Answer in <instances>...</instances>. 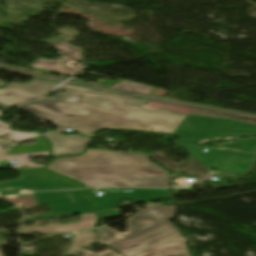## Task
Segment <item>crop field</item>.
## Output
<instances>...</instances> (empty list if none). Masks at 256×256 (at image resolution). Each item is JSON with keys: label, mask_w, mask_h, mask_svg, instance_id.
<instances>
[{"label": "crop field", "mask_w": 256, "mask_h": 256, "mask_svg": "<svg viewBox=\"0 0 256 256\" xmlns=\"http://www.w3.org/2000/svg\"><path fill=\"white\" fill-rule=\"evenodd\" d=\"M60 88L67 93L55 100L43 98L20 107L89 137L101 128L172 134L186 116L145 109L142 106L147 100L137 101L68 84ZM69 96L78 97V102H67Z\"/></svg>", "instance_id": "obj_1"}, {"label": "crop field", "mask_w": 256, "mask_h": 256, "mask_svg": "<svg viewBox=\"0 0 256 256\" xmlns=\"http://www.w3.org/2000/svg\"><path fill=\"white\" fill-rule=\"evenodd\" d=\"M48 168L87 187H169L167 173L142 153L86 150L82 156L56 159Z\"/></svg>", "instance_id": "obj_2"}, {"label": "crop field", "mask_w": 256, "mask_h": 256, "mask_svg": "<svg viewBox=\"0 0 256 256\" xmlns=\"http://www.w3.org/2000/svg\"><path fill=\"white\" fill-rule=\"evenodd\" d=\"M256 135V125L231 119H214L187 115L173 135L192 141L214 137Z\"/></svg>", "instance_id": "obj_3"}, {"label": "crop field", "mask_w": 256, "mask_h": 256, "mask_svg": "<svg viewBox=\"0 0 256 256\" xmlns=\"http://www.w3.org/2000/svg\"><path fill=\"white\" fill-rule=\"evenodd\" d=\"M21 180L0 184V196L29 191L61 190L82 187L50 173L45 168L18 170Z\"/></svg>", "instance_id": "obj_4"}, {"label": "crop field", "mask_w": 256, "mask_h": 256, "mask_svg": "<svg viewBox=\"0 0 256 256\" xmlns=\"http://www.w3.org/2000/svg\"><path fill=\"white\" fill-rule=\"evenodd\" d=\"M81 191L66 192H46L34 193L38 204H47L52 210L49 215H37L24 219L23 223L30 222L34 219L59 217L73 213H83L92 211L90 201Z\"/></svg>", "instance_id": "obj_5"}, {"label": "crop field", "mask_w": 256, "mask_h": 256, "mask_svg": "<svg viewBox=\"0 0 256 256\" xmlns=\"http://www.w3.org/2000/svg\"><path fill=\"white\" fill-rule=\"evenodd\" d=\"M186 150L209 168H214L230 173H246L254 160L253 154L223 152L203 149L189 143H182Z\"/></svg>", "instance_id": "obj_6"}, {"label": "crop field", "mask_w": 256, "mask_h": 256, "mask_svg": "<svg viewBox=\"0 0 256 256\" xmlns=\"http://www.w3.org/2000/svg\"><path fill=\"white\" fill-rule=\"evenodd\" d=\"M178 235L180 234L176 228L166 221L112 243L110 246L118 250L123 256H129Z\"/></svg>", "instance_id": "obj_7"}, {"label": "crop field", "mask_w": 256, "mask_h": 256, "mask_svg": "<svg viewBox=\"0 0 256 256\" xmlns=\"http://www.w3.org/2000/svg\"><path fill=\"white\" fill-rule=\"evenodd\" d=\"M94 191H105L103 197H96ZM91 199L95 202L96 210L114 208L119 199H131L139 202H148L171 198L169 190H148V189H89Z\"/></svg>", "instance_id": "obj_8"}, {"label": "crop field", "mask_w": 256, "mask_h": 256, "mask_svg": "<svg viewBox=\"0 0 256 256\" xmlns=\"http://www.w3.org/2000/svg\"><path fill=\"white\" fill-rule=\"evenodd\" d=\"M55 82L37 79L29 84L16 83L0 90V105L4 109L36 99L49 93ZM34 87L30 89L29 87ZM1 107V106H0Z\"/></svg>", "instance_id": "obj_9"}, {"label": "crop field", "mask_w": 256, "mask_h": 256, "mask_svg": "<svg viewBox=\"0 0 256 256\" xmlns=\"http://www.w3.org/2000/svg\"><path fill=\"white\" fill-rule=\"evenodd\" d=\"M45 137L52 144L53 156L81 154L91 140L82 136H65L58 133Z\"/></svg>", "instance_id": "obj_10"}, {"label": "crop field", "mask_w": 256, "mask_h": 256, "mask_svg": "<svg viewBox=\"0 0 256 256\" xmlns=\"http://www.w3.org/2000/svg\"><path fill=\"white\" fill-rule=\"evenodd\" d=\"M95 220V214H84L81 215V219L75 223L67 225L46 224L44 226L22 227L19 234L30 235L33 232H38L40 234L68 233L77 230L91 228L94 226Z\"/></svg>", "instance_id": "obj_11"}, {"label": "crop field", "mask_w": 256, "mask_h": 256, "mask_svg": "<svg viewBox=\"0 0 256 256\" xmlns=\"http://www.w3.org/2000/svg\"><path fill=\"white\" fill-rule=\"evenodd\" d=\"M176 206H151L146 210L138 213L132 219L129 220L128 229L131 234L140 230L146 229L158 223L164 222L174 215ZM144 217H149L153 220L152 223L142 225L138 221Z\"/></svg>", "instance_id": "obj_12"}, {"label": "crop field", "mask_w": 256, "mask_h": 256, "mask_svg": "<svg viewBox=\"0 0 256 256\" xmlns=\"http://www.w3.org/2000/svg\"><path fill=\"white\" fill-rule=\"evenodd\" d=\"M187 240L180 237L136 256H190Z\"/></svg>", "instance_id": "obj_13"}, {"label": "crop field", "mask_w": 256, "mask_h": 256, "mask_svg": "<svg viewBox=\"0 0 256 256\" xmlns=\"http://www.w3.org/2000/svg\"><path fill=\"white\" fill-rule=\"evenodd\" d=\"M96 234L94 230L73 234L72 242L64 255H75L85 253L81 249L82 246H89L90 243L95 242Z\"/></svg>", "instance_id": "obj_14"}, {"label": "crop field", "mask_w": 256, "mask_h": 256, "mask_svg": "<svg viewBox=\"0 0 256 256\" xmlns=\"http://www.w3.org/2000/svg\"><path fill=\"white\" fill-rule=\"evenodd\" d=\"M29 67L39 68V69H43V70L64 73V74H69V75H74L79 72L77 70L62 67V59H57L55 61L38 59L36 62H34Z\"/></svg>", "instance_id": "obj_15"}, {"label": "crop field", "mask_w": 256, "mask_h": 256, "mask_svg": "<svg viewBox=\"0 0 256 256\" xmlns=\"http://www.w3.org/2000/svg\"><path fill=\"white\" fill-rule=\"evenodd\" d=\"M28 156H49V153L44 152V153H30V154H23V155H4L2 159L17 160L21 168L44 167V166H37L35 164L30 163L27 158Z\"/></svg>", "instance_id": "obj_16"}, {"label": "crop field", "mask_w": 256, "mask_h": 256, "mask_svg": "<svg viewBox=\"0 0 256 256\" xmlns=\"http://www.w3.org/2000/svg\"><path fill=\"white\" fill-rule=\"evenodd\" d=\"M111 87L112 88H117V89L133 91V92L144 93V94H150V92L152 90H154V88H152V87L142 85V84H138V83H134V82H130V81H126V80H123L121 83L114 84Z\"/></svg>", "instance_id": "obj_17"}, {"label": "crop field", "mask_w": 256, "mask_h": 256, "mask_svg": "<svg viewBox=\"0 0 256 256\" xmlns=\"http://www.w3.org/2000/svg\"><path fill=\"white\" fill-rule=\"evenodd\" d=\"M1 114V112H0ZM10 125L5 124L3 122L0 121V135H4V134H11L9 141H20V140H24V139H28L32 136H36L38 135V133H19V132H14L9 128ZM0 141H6V140H0Z\"/></svg>", "instance_id": "obj_18"}, {"label": "crop field", "mask_w": 256, "mask_h": 256, "mask_svg": "<svg viewBox=\"0 0 256 256\" xmlns=\"http://www.w3.org/2000/svg\"><path fill=\"white\" fill-rule=\"evenodd\" d=\"M98 233L100 235L99 241H101L105 244H110L112 242L118 241V240L130 235L129 232L125 235H119L118 233L110 230L107 227L98 229Z\"/></svg>", "instance_id": "obj_19"}, {"label": "crop field", "mask_w": 256, "mask_h": 256, "mask_svg": "<svg viewBox=\"0 0 256 256\" xmlns=\"http://www.w3.org/2000/svg\"><path fill=\"white\" fill-rule=\"evenodd\" d=\"M220 147H232V148H236L244 151H255L256 139L238 140L231 145H221Z\"/></svg>", "instance_id": "obj_20"}, {"label": "crop field", "mask_w": 256, "mask_h": 256, "mask_svg": "<svg viewBox=\"0 0 256 256\" xmlns=\"http://www.w3.org/2000/svg\"><path fill=\"white\" fill-rule=\"evenodd\" d=\"M55 48L69 54L68 58H70L74 61H77L80 59V49L77 47H74L72 45H69V44L63 42L60 45L56 46Z\"/></svg>", "instance_id": "obj_21"}, {"label": "crop field", "mask_w": 256, "mask_h": 256, "mask_svg": "<svg viewBox=\"0 0 256 256\" xmlns=\"http://www.w3.org/2000/svg\"><path fill=\"white\" fill-rule=\"evenodd\" d=\"M98 214L100 215L101 218H104V217L119 215L120 212L118 210L111 209V210L99 211Z\"/></svg>", "instance_id": "obj_22"}, {"label": "crop field", "mask_w": 256, "mask_h": 256, "mask_svg": "<svg viewBox=\"0 0 256 256\" xmlns=\"http://www.w3.org/2000/svg\"><path fill=\"white\" fill-rule=\"evenodd\" d=\"M94 256H119L116 252L110 250V251H107V252H104V253H101V254H97V255H94Z\"/></svg>", "instance_id": "obj_23"}, {"label": "crop field", "mask_w": 256, "mask_h": 256, "mask_svg": "<svg viewBox=\"0 0 256 256\" xmlns=\"http://www.w3.org/2000/svg\"><path fill=\"white\" fill-rule=\"evenodd\" d=\"M180 236H181V235H180ZM180 236H178V237H180ZM178 237H175V238H178ZM175 238H173V239H175ZM173 239H170V240H173ZM170 240H168V241H170ZM168 241H165V242H168ZM165 242H163V243H165ZM163 243H160V244H163ZM160 244H158V245H160ZM158 245H155V246H158ZM155 246H153V247H155ZM153 247H150V248H153ZM150 248H148V249H150ZM148 249H145V250L140 251V252H138V253L144 252V251H146V250H148ZM138 253H136V254H138ZM136 254H134V255H136ZM132 256H133V255H132Z\"/></svg>", "instance_id": "obj_24"}, {"label": "crop field", "mask_w": 256, "mask_h": 256, "mask_svg": "<svg viewBox=\"0 0 256 256\" xmlns=\"http://www.w3.org/2000/svg\"><path fill=\"white\" fill-rule=\"evenodd\" d=\"M2 153H3V150L0 149V156H1Z\"/></svg>", "instance_id": "obj_25"}, {"label": "crop field", "mask_w": 256, "mask_h": 256, "mask_svg": "<svg viewBox=\"0 0 256 256\" xmlns=\"http://www.w3.org/2000/svg\"><path fill=\"white\" fill-rule=\"evenodd\" d=\"M3 85H5V84H3V83L0 82V87L3 86Z\"/></svg>", "instance_id": "obj_26"}, {"label": "crop field", "mask_w": 256, "mask_h": 256, "mask_svg": "<svg viewBox=\"0 0 256 256\" xmlns=\"http://www.w3.org/2000/svg\"><path fill=\"white\" fill-rule=\"evenodd\" d=\"M0 256H4L3 253L0 251Z\"/></svg>", "instance_id": "obj_27"}]
</instances>
